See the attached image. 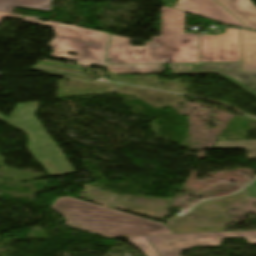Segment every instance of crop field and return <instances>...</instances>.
I'll use <instances>...</instances> for the list:
<instances>
[{
    "label": "crop field",
    "mask_w": 256,
    "mask_h": 256,
    "mask_svg": "<svg viewBox=\"0 0 256 256\" xmlns=\"http://www.w3.org/2000/svg\"><path fill=\"white\" fill-rule=\"evenodd\" d=\"M185 13L163 6L161 37L146 47L130 46V39L111 34L106 59L111 64L198 62L199 36L184 35Z\"/></svg>",
    "instance_id": "8a807250"
},
{
    "label": "crop field",
    "mask_w": 256,
    "mask_h": 256,
    "mask_svg": "<svg viewBox=\"0 0 256 256\" xmlns=\"http://www.w3.org/2000/svg\"><path fill=\"white\" fill-rule=\"evenodd\" d=\"M66 220L63 225L83 229L107 238L173 233L165 225L113 209L58 197L50 207Z\"/></svg>",
    "instance_id": "ac0d7876"
},
{
    "label": "crop field",
    "mask_w": 256,
    "mask_h": 256,
    "mask_svg": "<svg viewBox=\"0 0 256 256\" xmlns=\"http://www.w3.org/2000/svg\"><path fill=\"white\" fill-rule=\"evenodd\" d=\"M38 18L25 16L23 21L54 29L55 39L49 43L53 50L49 56L77 62L78 65L91 67L104 66L105 53L110 34L85 28L38 21ZM68 50L78 53L77 56L67 54Z\"/></svg>",
    "instance_id": "34b2d1b8"
},
{
    "label": "crop field",
    "mask_w": 256,
    "mask_h": 256,
    "mask_svg": "<svg viewBox=\"0 0 256 256\" xmlns=\"http://www.w3.org/2000/svg\"><path fill=\"white\" fill-rule=\"evenodd\" d=\"M38 104H17L10 118L2 114L0 118L27 132L30 143L26 147L49 176L75 172L35 119Z\"/></svg>",
    "instance_id": "412701ff"
},
{
    "label": "crop field",
    "mask_w": 256,
    "mask_h": 256,
    "mask_svg": "<svg viewBox=\"0 0 256 256\" xmlns=\"http://www.w3.org/2000/svg\"><path fill=\"white\" fill-rule=\"evenodd\" d=\"M161 256H179L194 246H219L222 238L243 237L256 244V231L146 236Z\"/></svg>",
    "instance_id": "f4fd0767"
},
{
    "label": "crop field",
    "mask_w": 256,
    "mask_h": 256,
    "mask_svg": "<svg viewBox=\"0 0 256 256\" xmlns=\"http://www.w3.org/2000/svg\"><path fill=\"white\" fill-rule=\"evenodd\" d=\"M217 36L202 35L201 62L240 61L238 29Z\"/></svg>",
    "instance_id": "dd49c442"
},
{
    "label": "crop field",
    "mask_w": 256,
    "mask_h": 256,
    "mask_svg": "<svg viewBox=\"0 0 256 256\" xmlns=\"http://www.w3.org/2000/svg\"><path fill=\"white\" fill-rule=\"evenodd\" d=\"M174 9L182 10L223 24L245 27L214 0H179L174 6Z\"/></svg>",
    "instance_id": "e52e79f7"
},
{
    "label": "crop field",
    "mask_w": 256,
    "mask_h": 256,
    "mask_svg": "<svg viewBox=\"0 0 256 256\" xmlns=\"http://www.w3.org/2000/svg\"><path fill=\"white\" fill-rule=\"evenodd\" d=\"M173 74L241 73L240 62L169 65Z\"/></svg>",
    "instance_id": "d8731c3e"
},
{
    "label": "crop field",
    "mask_w": 256,
    "mask_h": 256,
    "mask_svg": "<svg viewBox=\"0 0 256 256\" xmlns=\"http://www.w3.org/2000/svg\"><path fill=\"white\" fill-rule=\"evenodd\" d=\"M242 73L256 72V32L239 29Z\"/></svg>",
    "instance_id": "5a996713"
},
{
    "label": "crop field",
    "mask_w": 256,
    "mask_h": 256,
    "mask_svg": "<svg viewBox=\"0 0 256 256\" xmlns=\"http://www.w3.org/2000/svg\"><path fill=\"white\" fill-rule=\"evenodd\" d=\"M249 28L256 29V7L250 0H217Z\"/></svg>",
    "instance_id": "3316defc"
},
{
    "label": "crop field",
    "mask_w": 256,
    "mask_h": 256,
    "mask_svg": "<svg viewBox=\"0 0 256 256\" xmlns=\"http://www.w3.org/2000/svg\"><path fill=\"white\" fill-rule=\"evenodd\" d=\"M51 0H0V11L12 13L15 6L49 12Z\"/></svg>",
    "instance_id": "28ad6ade"
},
{
    "label": "crop field",
    "mask_w": 256,
    "mask_h": 256,
    "mask_svg": "<svg viewBox=\"0 0 256 256\" xmlns=\"http://www.w3.org/2000/svg\"><path fill=\"white\" fill-rule=\"evenodd\" d=\"M108 71L115 74H147L163 73V65H116L107 66Z\"/></svg>",
    "instance_id": "d1516ede"
},
{
    "label": "crop field",
    "mask_w": 256,
    "mask_h": 256,
    "mask_svg": "<svg viewBox=\"0 0 256 256\" xmlns=\"http://www.w3.org/2000/svg\"><path fill=\"white\" fill-rule=\"evenodd\" d=\"M31 69H35L41 72L54 74L58 76L73 78L77 80L89 81L88 77L86 76L85 73H83L82 70L71 69V68H67V67H63L55 64H52L50 66L38 64L32 67Z\"/></svg>",
    "instance_id": "22f410ed"
},
{
    "label": "crop field",
    "mask_w": 256,
    "mask_h": 256,
    "mask_svg": "<svg viewBox=\"0 0 256 256\" xmlns=\"http://www.w3.org/2000/svg\"><path fill=\"white\" fill-rule=\"evenodd\" d=\"M232 84L240 87L256 97V73L255 74H229L219 75Z\"/></svg>",
    "instance_id": "cbeb9de0"
},
{
    "label": "crop field",
    "mask_w": 256,
    "mask_h": 256,
    "mask_svg": "<svg viewBox=\"0 0 256 256\" xmlns=\"http://www.w3.org/2000/svg\"><path fill=\"white\" fill-rule=\"evenodd\" d=\"M245 148L249 151H256L255 141H227L216 143L214 149Z\"/></svg>",
    "instance_id": "5142ce71"
},
{
    "label": "crop field",
    "mask_w": 256,
    "mask_h": 256,
    "mask_svg": "<svg viewBox=\"0 0 256 256\" xmlns=\"http://www.w3.org/2000/svg\"><path fill=\"white\" fill-rule=\"evenodd\" d=\"M128 240L141 249L147 256H159L158 253L154 250L151 244L148 242L145 236L140 237H131Z\"/></svg>",
    "instance_id": "d9b57169"
},
{
    "label": "crop field",
    "mask_w": 256,
    "mask_h": 256,
    "mask_svg": "<svg viewBox=\"0 0 256 256\" xmlns=\"http://www.w3.org/2000/svg\"><path fill=\"white\" fill-rule=\"evenodd\" d=\"M4 17L18 18V19H22V18H23L22 15H16V14H9V13L0 12V21H1Z\"/></svg>",
    "instance_id": "733c2abd"
},
{
    "label": "crop field",
    "mask_w": 256,
    "mask_h": 256,
    "mask_svg": "<svg viewBox=\"0 0 256 256\" xmlns=\"http://www.w3.org/2000/svg\"><path fill=\"white\" fill-rule=\"evenodd\" d=\"M250 196L256 198V182L248 187Z\"/></svg>",
    "instance_id": "4a817a6b"
},
{
    "label": "crop field",
    "mask_w": 256,
    "mask_h": 256,
    "mask_svg": "<svg viewBox=\"0 0 256 256\" xmlns=\"http://www.w3.org/2000/svg\"><path fill=\"white\" fill-rule=\"evenodd\" d=\"M248 159H256V152H250V154H248Z\"/></svg>",
    "instance_id": "bc2a9ffb"
},
{
    "label": "crop field",
    "mask_w": 256,
    "mask_h": 256,
    "mask_svg": "<svg viewBox=\"0 0 256 256\" xmlns=\"http://www.w3.org/2000/svg\"><path fill=\"white\" fill-rule=\"evenodd\" d=\"M218 27H228V26H218Z\"/></svg>",
    "instance_id": "214f88e0"
},
{
    "label": "crop field",
    "mask_w": 256,
    "mask_h": 256,
    "mask_svg": "<svg viewBox=\"0 0 256 256\" xmlns=\"http://www.w3.org/2000/svg\"><path fill=\"white\" fill-rule=\"evenodd\" d=\"M1 75V74H0Z\"/></svg>",
    "instance_id": "92a150f3"
}]
</instances>
